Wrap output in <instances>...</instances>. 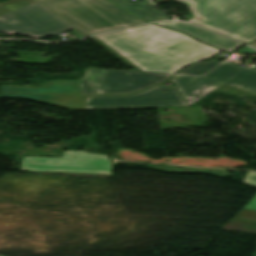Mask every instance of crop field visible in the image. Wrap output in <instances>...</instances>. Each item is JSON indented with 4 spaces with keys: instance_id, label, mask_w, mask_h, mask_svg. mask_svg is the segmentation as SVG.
I'll list each match as a JSON object with an SVG mask.
<instances>
[{
    "instance_id": "crop-field-4",
    "label": "crop field",
    "mask_w": 256,
    "mask_h": 256,
    "mask_svg": "<svg viewBox=\"0 0 256 256\" xmlns=\"http://www.w3.org/2000/svg\"><path fill=\"white\" fill-rule=\"evenodd\" d=\"M0 97H17L70 110L189 106L176 87H154L131 95L77 96L0 94Z\"/></svg>"
},
{
    "instance_id": "crop-field-9",
    "label": "crop field",
    "mask_w": 256,
    "mask_h": 256,
    "mask_svg": "<svg viewBox=\"0 0 256 256\" xmlns=\"http://www.w3.org/2000/svg\"><path fill=\"white\" fill-rule=\"evenodd\" d=\"M156 24L163 27L170 28V29L185 32L204 43L210 44L212 46H215L227 51H233L242 45L230 39L224 38L222 36H219L217 34L211 33L209 31L197 28L189 24L175 23V22H160Z\"/></svg>"
},
{
    "instance_id": "crop-field-15",
    "label": "crop field",
    "mask_w": 256,
    "mask_h": 256,
    "mask_svg": "<svg viewBox=\"0 0 256 256\" xmlns=\"http://www.w3.org/2000/svg\"><path fill=\"white\" fill-rule=\"evenodd\" d=\"M242 183L256 187V172H247Z\"/></svg>"
},
{
    "instance_id": "crop-field-18",
    "label": "crop field",
    "mask_w": 256,
    "mask_h": 256,
    "mask_svg": "<svg viewBox=\"0 0 256 256\" xmlns=\"http://www.w3.org/2000/svg\"><path fill=\"white\" fill-rule=\"evenodd\" d=\"M250 45L256 47V40L252 41L251 43H249Z\"/></svg>"
},
{
    "instance_id": "crop-field-5",
    "label": "crop field",
    "mask_w": 256,
    "mask_h": 256,
    "mask_svg": "<svg viewBox=\"0 0 256 256\" xmlns=\"http://www.w3.org/2000/svg\"><path fill=\"white\" fill-rule=\"evenodd\" d=\"M85 35L145 21L106 0H37Z\"/></svg>"
},
{
    "instance_id": "crop-field-14",
    "label": "crop field",
    "mask_w": 256,
    "mask_h": 256,
    "mask_svg": "<svg viewBox=\"0 0 256 256\" xmlns=\"http://www.w3.org/2000/svg\"><path fill=\"white\" fill-rule=\"evenodd\" d=\"M231 222L256 226V211L243 209L231 220Z\"/></svg>"
},
{
    "instance_id": "crop-field-8",
    "label": "crop field",
    "mask_w": 256,
    "mask_h": 256,
    "mask_svg": "<svg viewBox=\"0 0 256 256\" xmlns=\"http://www.w3.org/2000/svg\"><path fill=\"white\" fill-rule=\"evenodd\" d=\"M21 170L111 174L112 164L106 155L66 151L61 158L25 157Z\"/></svg>"
},
{
    "instance_id": "crop-field-17",
    "label": "crop field",
    "mask_w": 256,
    "mask_h": 256,
    "mask_svg": "<svg viewBox=\"0 0 256 256\" xmlns=\"http://www.w3.org/2000/svg\"><path fill=\"white\" fill-rule=\"evenodd\" d=\"M238 52H244V53H256V51H254L253 49L245 46L243 47L241 50H239Z\"/></svg>"
},
{
    "instance_id": "crop-field-2",
    "label": "crop field",
    "mask_w": 256,
    "mask_h": 256,
    "mask_svg": "<svg viewBox=\"0 0 256 256\" xmlns=\"http://www.w3.org/2000/svg\"><path fill=\"white\" fill-rule=\"evenodd\" d=\"M173 74L87 68L82 79L51 81L40 87L3 85L0 92L49 94H115L143 90L168 80Z\"/></svg>"
},
{
    "instance_id": "crop-field-12",
    "label": "crop field",
    "mask_w": 256,
    "mask_h": 256,
    "mask_svg": "<svg viewBox=\"0 0 256 256\" xmlns=\"http://www.w3.org/2000/svg\"><path fill=\"white\" fill-rule=\"evenodd\" d=\"M219 63H221V61H217V60H213V59H211L210 62L206 61L203 63H195L192 66L180 71L177 74L203 75L210 69L217 66Z\"/></svg>"
},
{
    "instance_id": "crop-field-19",
    "label": "crop field",
    "mask_w": 256,
    "mask_h": 256,
    "mask_svg": "<svg viewBox=\"0 0 256 256\" xmlns=\"http://www.w3.org/2000/svg\"><path fill=\"white\" fill-rule=\"evenodd\" d=\"M256 256V255H255Z\"/></svg>"
},
{
    "instance_id": "crop-field-3",
    "label": "crop field",
    "mask_w": 256,
    "mask_h": 256,
    "mask_svg": "<svg viewBox=\"0 0 256 256\" xmlns=\"http://www.w3.org/2000/svg\"><path fill=\"white\" fill-rule=\"evenodd\" d=\"M176 1L194 14L190 22L246 43L256 38V0Z\"/></svg>"
},
{
    "instance_id": "crop-field-10",
    "label": "crop field",
    "mask_w": 256,
    "mask_h": 256,
    "mask_svg": "<svg viewBox=\"0 0 256 256\" xmlns=\"http://www.w3.org/2000/svg\"><path fill=\"white\" fill-rule=\"evenodd\" d=\"M117 5L123 7L124 9L130 11L131 13L148 20L150 22L157 21L161 19H170L171 17L167 16L163 12L159 11L153 7L148 0H142L138 2H131L129 0H110Z\"/></svg>"
},
{
    "instance_id": "crop-field-1",
    "label": "crop field",
    "mask_w": 256,
    "mask_h": 256,
    "mask_svg": "<svg viewBox=\"0 0 256 256\" xmlns=\"http://www.w3.org/2000/svg\"><path fill=\"white\" fill-rule=\"evenodd\" d=\"M135 70L167 73L208 45L149 25L91 37Z\"/></svg>"
},
{
    "instance_id": "crop-field-16",
    "label": "crop field",
    "mask_w": 256,
    "mask_h": 256,
    "mask_svg": "<svg viewBox=\"0 0 256 256\" xmlns=\"http://www.w3.org/2000/svg\"><path fill=\"white\" fill-rule=\"evenodd\" d=\"M245 208L256 210V196L250 201V203Z\"/></svg>"
},
{
    "instance_id": "crop-field-7",
    "label": "crop field",
    "mask_w": 256,
    "mask_h": 256,
    "mask_svg": "<svg viewBox=\"0 0 256 256\" xmlns=\"http://www.w3.org/2000/svg\"><path fill=\"white\" fill-rule=\"evenodd\" d=\"M69 30L73 28L33 0H10L0 4L1 33L17 32L42 39Z\"/></svg>"
},
{
    "instance_id": "crop-field-6",
    "label": "crop field",
    "mask_w": 256,
    "mask_h": 256,
    "mask_svg": "<svg viewBox=\"0 0 256 256\" xmlns=\"http://www.w3.org/2000/svg\"><path fill=\"white\" fill-rule=\"evenodd\" d=\"M189 105L209 92L256 96V70L222 63L203 77L177 76L172 80Z\"/></svg>"
},
{
    "instance_id": "crop-field-13",
    "label": "crop field",
    "mask_w": 256,
    "mask_h": 256,
    "mask_svg": "<svg viewBox=\"0 0 256 256\" xmlns=\"http://www.w3.org/2000/svg\"><path fill=\"white\" fill-rule=\"evenodd\" d=\"M219 51L220 50L209 46L206 49H204L203 51L199 52L198 54H196L195 56H193L189 60L185 61L184 63H182L181 65H179L178 67H176L175 69L171 70L168 73H175L178 69H180V68H182V67H184V66H186V65H188L192 62H196V61H199V60L209 58V57L213 56L214 54H216Z\"/></svg>"
},
{
    "instance_id": "crop-field-11",
    "label": "crop field",
    "mask_w": 256,
    "mask_h": 256,
    "mask_svg": "<svg viewBox=\"0 0 256 256\" xmlns=\"http://www.w3.org/2000/svg\"><path fill=\"white\" fill-rule=\"evenodd\" d=\"M144 168H151V169L163 170L167 172H178V173H209L221 178L225 177L228 174L227 171H223V170H208V169H194V168L177 169L175 167L168 166V165L145 166Z\"/></svg>"
}]
</instances>
